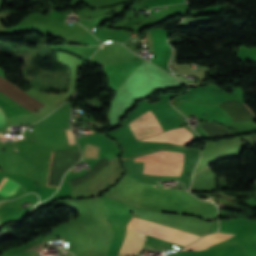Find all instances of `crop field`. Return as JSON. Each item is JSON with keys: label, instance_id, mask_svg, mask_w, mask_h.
<instances>
[{"label": "crop field", "instance_id": "1", "mask_svg": "<svg viewBox=\"0 0 256 256\" xmlns=\"http://www.w3.org/2000/svg\"><path fill=\"white\" fill-rule=\"evenodd\" d=\"M133 219H131V221L129 223L137 225V226H141V227H144V228H147V229H150V230H154V231H157V232H160V233L171 235V236H174V237H177V238H181V239H184V240H187V241L193 242L197 238H200V236L189 234V233L179 231V230H176V229H172V228H168V227H164V226H160V225H157V224L150 223V224H153V225H156V226L167 228V229L177 231V232L187 234V235L197 237V238H193V237L183 235V234H180V233H177V232H173V231L166 230V229H163V228H160V227H156V226H153V225H150V224H146V223H149V222L143 223L145 221L140 222L142 220L136 221L138 219H136V220H133ZM131 224H128V227H127L128 229L138 231V232L150 235V236H154V237L164 239V240L174 242V243L184 245V246H187L188 244L191 243V242H187V241H184V240H181V239L170 237V236H167V235H164V234H160V233H157V232H154V231H150V230H147V229H144V228H141V227H137V226H134V225H131ZM128 229L126 231L125 240H124V243L122 245V248H121V251H120L119 254L137 255L138 251L141 250L142 243H143L145 235L141 234V233H138V232L128 230Z\"/></svg>", "mask_w": 256, "mask_h": 256}, {"label": "crop field", "instance_id": "2", "mask_svg": "<svg viewBox=\"0 0 256 256\" xmlns=\"http://www.w3.org/2000/svg\"><path fill=\"white\" fill-rule=\"evenodd\" d=\"M99 202L112 227V234L107 245V256H117L124 238L126 224L132 214L122 203L109 199Z\"/></svg>", "mask_w": 256, "mask_h": 256}, {"label": "crop field", "instance_id": "3", "mask_svg": "<svg viewBox=\"0 0 256 256\" xmlns=\"http://www.w3.org/2000/svg\"><path fill=\"white\" fill-rule=\"evenodd\" d=\"M134 162H151L182 165L183 154L161 150L150 155L134 158ZM145 163L143 174L179 178L182 166Z\"/></svg>", "mask_w": 256, "mask_h": 256}, {"label": "crop field", "instance_id": "4", "mask_svg": "<svg viewBox=\"0 0 256 256\" xmlns=\"http://www.w3.org/2000/svg\"><path fill=\"white\" fill-rule=\"evenodd\" d=\"M129 126L137 140L163 132L152 110L137 117L129 123Z\"/></svg>", "mask_w": 256, "mask_h": 256}, {"label": "crop field", "instance_id": "5", "mask_svg": "<svg viewBox=\"0 0 256 256\" xmlns=\"http://www.w3.org/2000/svg\"><path fill=\"white\" fill-rule=\"evenodd\" d=\"M193 134L185 128L166 131L160 135L142 139L144 141L168 142L172 144H185L191 141Z\"/></svg>", "mask_w": 256, "mask_h": 256}, {"label": "crop field", "instance_id": "6", "mask_svg": "<svg viewBox=\"0 0 256 256\" xmlns=\"http://www.w3.org/2000/svg\"><path fill=\"white\" fill-rule=\"evenodd\" d=\"M232 236H233V234H224V233L208 235V236L202 238L201 240L191 244L190 246L186 247L183 250L205 249L206 247H208L212 244L225 241Z\"/></svg>", "mask_w": 256, "mask_h": 256}, {"label": "crop field", "instance_id": "7", "mask_svg": "<svg viewBox=\"0 0 256 256\" xmlns=\"http://www.w3.org/2000/svg\"><path fill=\"white\" fill-rule=\"evenodd\" d=\"M6 181V178H4V180L2 181V183L0 184V188L3 185V183ZM20 185H18L17 183L7 179V181L5 182V184L2 186V188L0 189V194L3 196H7V195H12L13 193L16 192V190L19 188Z\"/></svg>", "mask_w": 256, "mask_h": 256}, {"label": "crop field", "instance_id": "8", "mask_svg": "<svg viewBox=\"0 0 256 256\" xmlns=\"http://www.w3.org/2000/svg\"><path fill=\"white\" fill-rule=\"evenodd\" d=\"M100 149L101 148L99 147L85 144L84 150H83V158L97 159Z\"/></svg>", "mask_w": 256, "mask_h": 256}, {"label": "crop field", "instance_id": "9", "mask_svg": "<svg viewBox=\"0 0 256 256\" xmlns=\"http://www.w3.org/2000/svg\"><path fill=\"white\" fill-rule=\"evenodd\" d=\"M169 256H213V254L209 251H192V252H176Z\"/></svg>", "mask_w": 256, "mask_h": 256}, {"label": "crop field", "instance_id": "10", "mask_svg": "<svg viewBox=\"0 0 256 256\" xmlns=\"http://www.w3.org/2000/svg\"><path fill=\"white\" fill-rule=\"evenodd\" d=\"M7 123V118L5 114L0 109V127H3Z\"/></svg>", "mask_w": 256, "mask_h": 256}, {"label": "crop field", "instance_id": "11", "mask_svg": "<svg viewBox=\"0 0 256 256\" xmlns=\"http://www.w3.org/2000/svg\"><path fill=\"white\" fill-rule=\"evenodd\" d=\"M66 132H67L69 144H75L72 132L71 131H66Z\"/></svg>", "mask_w": 256, "mask_h": 256}]
</instances>
